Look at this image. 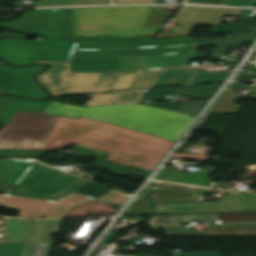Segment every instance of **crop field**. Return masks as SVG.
I'll list each match as a JSON object with an SVG mask.
<instances>
[{
	"label": "crop field",
	"instance_id": "1",
	"mask_svg": "<svg viewBox=\"0 0 256 256\" xmlns=\"http://www.w3.org/2000/svg\"><path fill=\"white\" fill-rule=\"evenodd\" d=\"M0 149L60 150L72 143L113 153L166 152L175 141L106 124L18 110L0 130Z\"/></svg>",
	"mask_w": 256,
	"mask_h": 256
},
{
	"label": "crop field",
	"instance_id": "2",
	"mask_svg": "<svg viewBox=\"0 0 256 256\" xmlns=\"http://www.w3.org/2000/svg\"><path fill=\"white\" fill-rule=\"evenodd\" d=\"M18 109L78 118L85 116L148 134L178 141L195 117L140 105L79 107L56 102H38L17 97H0V122L4 126ZM187 130V129H186Z\"/></svg>",
	"mask_w": 256,
	"mask_h": 256
},
{
	"label": "crop field",
	"instance_id": "3",
	"mask_svg": "<svg viewBox=\"0 0 256 256\" xmlns=\"http://www.w3.org/2000/svg\"><path fill=\"white\" fill-rule=\"evenodd\" d=\"M152 6L66 9L69 40L78 36H154L145 28Z\"/></svg>",
	"mask_w": 256,
	"mask_h": 256
},
{
	"label": "crop field",
	"instance_id": "4",
	"mask_svg": "<svg viewBox=\"0 0 256 256\" xmlns=\"http://www.w3.org/2000/svg\"><path fill=\"white\" fill-rule=\"evenodd\" d=\"M89 183L88 180L34 163L13 191L6 194L55 201L75 189Z\"/></svg>",
	"mask_w": 256,
	"mask_h": 256
},
{
	"label": "crop field",
	"instance_id": "5",
	"mask_svg": "<svg viewBox=\"0 0 256 256\" xmlns=\"http://www.w3.org/2000/svg\"><path fill=\"white\" fill-rule=\"evenodd\" d=\"M130 197L116 190L98 198V200L122 207ZM95 200L78 193H71L56 202L25 198L10 195H0V206L18 210L20 217L26 218H59L64 217L74 206Z\"/></svg>",
	"mask_w": 256,
	"mask_h": 256
},
{
	"label": "crop field",
	"instance_id": "6",
	"mask_svg": "<svg viewBox=\"0 0 256 256\" xmlns=\"http://www.w3.org/2000/svg\"><path fill=\"white\" fill-rule=\"evenodd\" d=\"M195 53L150 57L124 58H75L71 59L72 72H125L141 68L142 70L184 66Z\"/></svg>",
	"mask_w": 256,
	"mask_h": 256
},
{
	"label": "crop field",
	"instance_id": "7",
	"mask_svg": "<svg viewBox=\"0 0 256 256\" xmlns=\"http://www.w3.org/2000/svg\"><path fill=\"white\" fill-rule=\"evenodd\" d=\"M73 46L72 42L60 40L5 39L0 41V57L15 65L33 63L34 58L68 62Z\"/></svg>",
	"mask_w": 256,
	"mask_h": 256
},
{
	"label": "crop field",
	"instance_id": "8",
	"mask_svg": "<svg viewBox=\"0 0 256 256\" xmlns=\"http://www.w3.org/2000/svg\"><path fill=\"white\" fill-rule=\"evenodd\" d=\"M0 25L42 37L68 38L65 9H56V12L52 9L23 11L21 17Z\"/></svg>",
	"mask_w": 256,
	"mask_h": 256
},
{
	"label": "crop field",
	"instance_id": "9",
	"mask_svg": "<svg viewBox=\"0 0 256 256\" xmlns=\"http://www.w3.org/2000/svg\"><path fill=\"white\" fill-rule=\"evenodd\" d=\"M155 215L251 212L256 211V195L228 193L217 202L152 207Z\"/></svg>",
	"mask_w": 256,
	"mask_h": 256
},
{
	"label": "crop field",
	"instance_id": "10",
	"mask_svg": "<svg viewBox=\"0 0 256 256\" xmlns=\"http://www.w3.org/2000/svg\"><path fill=\"white\" fill-rule=\"evenodd\" d=\"M241 9L182 6L170 21H176L178 32L158 33L155 38L189 36L196 25H219L223 15L238 17Z\"/></svg>",
	"mask_w": 256,
	"mask_h": 256
},
{
	"label": "crop field",
	"instance_id": "11",
	"mask_svg": "<svg viewBox=\"0 0 256 256\" xmlns=\"http://www.w3.org/2000/svg\"><path fill=\"white\" fill-rule=\"evenodd\" d=\"M194 43L192 37L154 40L152 37H79L75 48L155 47Z\"/></svg>",
	"mask_w": 256,
	"mask_h": 256
},
{
	"label": "crop field",
	"instance_id": "12",
	"mask_svg": "<svg viewBox=\"0 0 256 256\" xmlns=\"http://www.w3.org/2000/svg\"><path fill=\"white\" fill-rule=\"evenodd\" d=\"M7 66L0 62V88L16 95L43 98L46 96L45 91L31 80L33 73L45 68L44 66L28 68L3 69ZM9 67V66H7Z\"/></svg>",
	"mask_w": 256,
	"mask_h": 256
},
{
	"label": "crop field",
	"instance_id": "13",
	"mask_svg": "<svg viewBox=\"0 0 256 256\" xmlns=\"http://www.w3.org/2000/svg\"><path fill=\"white\" fill-rule=\"evenodd\" d=\"M166 235L256 236V222L206 225L207 231L183 230L182 226H159Z\"/></svg>",
	"mask_w": 256,
	"mask_h": 256
},
{
	"label": "crop field",
	"instance_id": "14",
	"mask_svg": "<svg viewBox=\"0 0 256 256\" xmlns=\"http://www.w3.org/2000/svg\"><path fill=\"white\" fill-rule=\"evenodd\" d=\"M194 52L192 45L171 46L147 49H116V50H74L72 57H124V56H150L175 53Z\"/></svg>",
	"mask_w": 256,
	"mask_h": 256
},
{
	"label": "crop field",
	"instance_id": "15",
	"mask_svg": "<svg viewBox=\"0 0 256 256\" xmlns=\"http://www.w3.org/2000/svg\"><path fill=\"white\" fill-rule=\"evenodd\" d=\"M221 85L222 83L179 86L180 90H174L172 88L149 89L143 92V103L169 100L168 95H182L183 97H191V99L211 98Z\"/></svg>",
	"mask_w": 256,
	"mask_h": 256
},
{
	"label": "crop field",
	"instance_id": "16",
	"mask_svg": "<svg viewBox=\"0 0 256 256\" xmlns=\"http://www.w3.org/2000/svg\"><path fill=\"white\" fill-rule=\"evenodd\" d=\"M39 62L49 63L52 67L37 76L38 81L51 90L52 96L68 95L71 76L69 63L36 60V63Z\"/></svg>",
	"mask_w": 256,
	"mask_h": 256
},
{
	"label": "crop field",
	"instance_id": "17",
	"mask_svg": "<svg viewBox=\"0 0 256 256\" xmlns=\"http://www.w3.org/2000/svg\"><path fill=\"white\" fill-rule=\"evenodd\" d=\"M216 220H221V222L256 221V212L255 213L211 214V215H187V216H158L157 223L180 224V223H191L193 221L213 223Z\"/></svg>",
	"mask_w": 256,
	"mask_h": 256
},
{
	"label": "crop field",
	"instance_id": "18",
	"mask_svg": "<svg viewBox=\"0 0 256 256\" xmlns=\"http://www.w3.org/2000/svg\"><path fill=\"white\" fill-rule=\"evenodd\" d=\"M165 154L166 153L119 154L108 155L104 159L122 166L129 167L135 165L153 172Z\"/></svg>",
	"mask_w": 256,
	"mask_h": 256
},
{
	"label": "crop field",
	"instance_id": "19",
	"mask_svg": "<svg viewBox=\"0 0 256 256\" xmlns=\"http://www.w3.org/2000/svg\"><path fill=\"white\" fill-rule=\"evenodd\" d=\"M36 161L0 160V183L17 185L24 173Z\"/></svg>",
	"mask_w": 256,
	"mask_h": 256
},
{
	"label": "crop field",
	"instance_id": "20",
	"mask_svg": "<svg viewBox=\"0 0 256 256\" xmlns=\"http://www.w3.org/2000/svg\"><path fill=\"white\" fill-rule=\"evenodd\" d=\"M226 38L194 41L196 47L218 46L217 54L228 55V45L253 42L256 33L225 35Z\"/></svg>",
	"mask_w": 256,
	"mask_h": 256
},
{
	"label": "crop field",
	"instance_id": "21",
	"mask_svg": "<svg viewBox=\"0 0 256 256\" xmlns=\"http://www.w3.org/2000/svg\"><path fill=\"white\" fill-rule=\"evenodd\" d=\"M31 220L7 219V230L0 233V243H24Z\"/></svg>",
	"mask_w": 256,
	"mask_h": 256
},
{
	"label": "crop field",
	"instance_id": "22",
	"mask_svg": "<svg viewBox=\"0 0 256 256\" xmlns=\"http://www.w3.org/2000/svg\"><path fill=\"white\" fill-rule=\"evenodd\" d=\"M49 246L0 244V256H46Z\"/></svg>",
	"mask_w": 256,
	"mask_h": 256
},
{
	"label": "crop field",
	"instance_id": "23",
	"mask_svg": "<svg viewBox=\"0 0 256 256\" xmlns=\"http://www.w3.org/2000/svg\"><path fill=\"white\" fill-rule=\"evenodd\" d=\"M157 180L208 187L211 179L209 176L163 170Z\"/></svg>",
	"mask_w": 256,
	"mask_h": 256
},
{
	"label": "crop field",
	"instance_id": "24",
	"mask_svg": "<svg viewBox=\"0 0 256 256\" xmlns=\"http://www.w3.org/2000/svg\"><path fill=\"white\" fill-rule=\"evenodd\" d=\"M152 205H165V204H182L200 202V198H191L185 195L165 193V192H152L149 194Z\"/></svg>",
	"mask_w": 256,
	"mask_h": 256
},
{
	"label": "crop field",
	"instance_id": "25",
	"mask_svg": "<svg viewBox=\"0 0 256 256\" xmlns=\"http://www.w3.org/2000/svg\"><path fill=\"white\" fill-rule=\"evenodd\" d=\"M236 93L234 91L227 90L211 110L210 114H231L239 112L242 105L234 103L237 98Z\"/></svg>",
	"mask_w": 256,
	"mask_h": 256
},
{
	"label": "crop field",
	"instance_id": "26",
	"mask_svg": "<svg viewBox=\"0 0 256 256\" xmlns=\"http://www.w3.org/2000/svg\"><path fill=\"white\" fill-rule=\"evenodd\" d=\"M209 101H195V102H184V104H178L176 102L171 103H149L147 105L167 108L191 115L197 116L199 112L203 109V107L208 103Z\"/></svg>",
	"mask_w": 256,
	"mask_h": 256
},
{
	"label": "crop field",
	"instance_id": "27",
	"mask_svg": "<svg viewBox=\"0 0 256 256\" xmlns=\"http://www.w3.org/2000/svg\"><path fill=\"white\" fill-rule=\"evenodd\" d=\"M98 166L102 169H106L110 171L109 173H111L112 175L120 176V177H125L126 175H130V176L145 178L151 174V172L140 169L135 166L125 168L114 163L100 164Z\"/></svg>",
	"mask_w": 256,
	"mask_h": 256
},
{
	"label": "crop field",
	"instance_id": "28",
	"mask_svg": "<svg viewBox=\"0 0 256 256\" xmlns=\"http://www.w3.org/2000/svg\"><path fill=\"white\" fill-rule=\"evenodd\" d=\"M256 22L214 26L210 35L254 31Z\"/></svg>",
	"mask_w": 256,
	"mask_h": 256
},
{
	"label": "crop field",
	"instance_id": "29",
	"mask_svg": "<svg viewBox=\"0 0 256 256\" xmlns=\"http://www.w3.org/2000/svg\"><path fill=\"white\" fill-rule=\"evenodd\" d=\"M77 4H111V2L110 0H42L40 2H34V7Z\"/></svg>",
	"mask_w": 256,
	"mask_h": 256
},
{
	"label": "crop field",
	"instance_id": "30",
	"mask_svg": "<svg viewBox=\"0 0 256 256\" xmlns=\"http://www.w3.org/2000/svg\"><path fill=\"white\" fill-rule=\"evenodd\" d=\"M151 204L148 197L136 201L125 216L151 214Z\"/></svg>",
	"mask_w": 256,
	"mask_h": 256
},
{
	"label": "crop field",
	"instance_id": "31",
	"mask_svg": "<svg viewBox=\"0 0 256 256\" xmlns=\"http://www.w3.org/2000/svg\"><path fill=\"white\" fill-rule=\"evenodd\" d=\"M110 191L111 190L92 182V183L76 190L75 192L98 198Z\"/></svg>",
	"mask_w": 256,
	"mask_h": 256
},
{
	"label": "crop field",
	"instance_id": "32",
	"mask_svg": "<svg viewBox=\"0 0 256 256\" xmlns=\"http://www.w3.org/2000/svg\"><path fill=\"white\" fill-rule=\"evenodd\" d=\"M44 154H46V152L24 150H0V158L40 157Z\"/></svg>",
	"mask_w": 256,
	"mask_h": 256
},
{
	"label": "crop field",
	"instance_id": "33",
	"mask_svg": "<svg viewBox=\"0 0 256 256\" xmlns=\"http://www.w3.org/2000/svg\"><path fill=\"white\" fill-rule=\"evenodd\" d=\"M72 149L78 151L77 153L73 154L74 157H91V156H97L98 160L96 161V164L100 163H107L106 160L101 159L102 157L106 156L107 154H103L100 152H96L90 149H86L79 146H74Z\"/></svg>",
	"mask_w": 256,
	"mask_h": 256
},
{
	"label": "crop field",
	"instance_id": "34",
	"mask_svg": "<svg viewBox=\"0 0 256 256\" xmlns=\"http://www.w3.org/2000/svg\"><path fill=\"white\" fill-rule=\"evenodd\" d=\"M207 155L200 154H175L172 159H193V160H207Z\"/></svg>",
	"mask_w": 256,
	"mask_h": 256
},
{
	"label": "crop field",
	"instance_id": "35",
	"mask_svg": "<svg viewBox=\"0 0 256 256\" xmlns=\"http://www.w3.org/2000/svg\"><path fill=\"white\" fill-rule=\"evenodd\" d=\"M255 2L250 0H228L224 5L252 7Z\"/></svg>",
	"mask_w": 256,
	"mask_h": 256
},
{
	"label": "crop field",
	"instance_id": "36",
	"mask_svg": "<svg viewBox=\"0 0 256 256\" xmlns=\"http://www.w3.org/2000/svg\"><path fill=\"white\" fill-rule=\"evenodd\" d=\"M115 4L156 3L157 0H114Z\"/></svg>",
	"mask_w": 256,
	"mask_h": 256
},
{
	"label": "crop field",
	"instance_id": "37",
	"mask_svg": "<svg viewBox=\"0 0 256 256\" xmlns=\"http://www.w3.org/2000/svg\"><path fill=\"white\" fill-rule=\"evenodd\" d=\"M227 0H186L185 3H203L223 5Z\"/></svg>",
	"mask_w": 256,
	"mask_h": 256
},
{
	"label": "crop field",
	"instance_id": "38",
	"mask_svg": "<svg viewBox=\"0 0 256 256\" xmlns=\"http://www.w3.org/2000/svg\"><path fill=\"white\" fill-rule=\"evenodd\" d=\"M177 256H220L219 252L184 253Z\"/></svg>",
	"mask_w": 256,
	"mask_h": 256
},
{
	"label": "crop field",
	"instance_id": "39",
	"mask_svg": "<svg viewBox=\"0 0 256 256\" xmlns=\"http://www.w3.org/2000/svg\"><path fill=\"white\" fill-rule=\"evenodd\" d=\"M117 232L110 231V235L105 238L102 244H108L112 242L117 237Z\"/></svg>",
	"mask_w": 256,
	"mask_h": 256
},
{
	"label": "crop field",
	"instance_id": "40",
	"mask_svg": "<svg viewBox=\"0 0 256 256\" xmlns=\"http://www.w3.org/2000/svg\"><path fill=\"white\" fill-rule=\"evenodd\" d=\"M15 186L13 185H5V184H0V192L1 193H5L8 192L10 190H13Z\"/></svg>",
	"mask_w": 256,
	"mask_h": 256
},
{
	"label": "crop field",
	"instance_id": "41",
	"mask_svg": "<svg viewBox=\"0 0 256 256\" xmlns=\"http://www.w3.org/2000/svg\"><path fill=\"white\" fill-rule=\"evenodd\" d=\"M217 168L218 167H204L200 174L209 175L211 171H215Z\"/></svg>",
	"mask_w": 256,
	"mask_h": 256
},
{
	"label": "crop field",
	"instance_id": "42",
	"mask_svg": "<svg viewBox=\"0 0 256 256\" xmlns=\"http://www.w3.org/2000/svg\"><path fill=\"white\" fill-rule=\"evenodd\" d=\"M251 91H253L250 96L248 98L250 99H256V85L253 86V88L251 89Z\"/></svg>",
	"mask_w": 256,
	"mask_h": 256
},
{
	"label": "crop field",
	"instance_id": "43",
	"mask_svg": "<svg viewBox=\"0 0 256 256\" xmlns=\"http://www.w3.org/2000/svg\"><path fill=\"white\" fill-rule=\"evenodd\" d=\"M156 220H157V216L156 217H151L149 223H156Z\"/></svg>",
	"mask_w": 256,
	"mask_h": 256
},
{
	"label": "crop field",
	"instance_id": "44",
	"mask_svg": "<svg viewBox=\"0 0 256 256\" xmlns=\"http://www.w3.org/2000/svg\"><path fill=\"white\" fill-rule=\"evenodd\" d=\"M233 59H234V62H237V58L236 57H233Z\"/></svg>",
	"mask_w": 256,
	"mask_h": 256
},
{
	"label": "crop field",
	"instance_id": "45",
	"mask_svg": "<svg viewBox=\"0 0 256 256\" xmlns=\"http://www.w3.org/2000/svg\"><path fill=\"white\" fill-rule=\"evenodd\" d=\"M3 92H5V91L0 90V93H3Z\"/></svg>",
	"mask_w": 256,
	"mask_h": 256
}]
</instances>
